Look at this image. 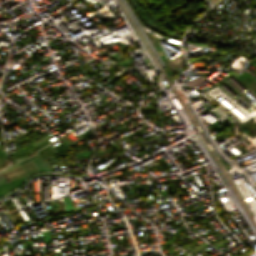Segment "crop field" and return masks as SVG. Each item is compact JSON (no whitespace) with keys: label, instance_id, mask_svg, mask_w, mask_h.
<instances>
[{"label":"crop field","instance_id":"obj_1","mask_svg":"<svg viewBox=\"0 0 256 256\" xmlns=\"http://www.w3.org/2000/svg\"><path fill=\"white\" fill-rule=\"evenodd\" d=\"M48 143H50V142L47 140V141H45V142H43V143H41V144H39V145H37V146H35V147H37V148L39 149V148L45 146V145L48 144ZM35 147L32 148V149H30V150H31L32 152L38 150V149H36ZM32 152H30L29 150H27V151H25V152H22V153H19V154L13 156L12 159L17 158V157H20V156L27 155V154H30V153H32Z\"/></svg>","mask_w":256,"mask_h":256},{"label":"crop field","instance_id":"obj_2","mask_svg":"<svg viewBox=\"0 0 256 256\" xmlns=\"http://www.w3.org/2000/svg\"><path fill=\"white\" fill-rule=\"evenodd\" d=\"M10 173L13 175L14 178L25 175V173L23 172V170L20 167L16 168L15 170H13ZM10 173H7L9 180L13 179V177L11 176Z\"/></svg>","mask_w":256,"mask_h":256},{"label":"crop field","instance_id":"obj_3","mask_svg":"<svg viewBox=\"0 0 256 256\" xmlns=\"http://www.w3.org/2000/svg\"><path fill=\"white\" fill-rule=\"evenodd\" d=\"M39 159V161L42 163V165L45 167L46 170H50L46 160L42 161L39 157H37ZM34 159V163L36 164V166L39 168V170H45L44 167L41 165V163L38 161V159Z\"/></svg>","mask_w":256,"mask_h":256},{"label":"crop field","instance_id":"obj_4","mask_svg":"<svg viewBox=\"0 0 256 256\" xmlns=\"http://www.w3.org/2000/svg\"><path fill=\"white\" fill-rule=\"evenodd\" d=\"M44 158L54 154V152L47 146L38 151Z\"/></svg>","mask_w":256,"mask_h":256},{"label":"crop field","instance_id":"obj_5","mask_svg":"<svg viewBox=\"0 0 256 256\" xmlns=\"http://www.w3.org/2000/svg\"><path fill=\"white\" fill-rule=\"evenodd\" d=\"M27 165H28V167L31 169L32 172L37 171V169L34 167V165H33L31 162L27 163ZM27 165H26V164L22 165V168L24 169V171L26 172V174L31 173V171H30V169L27 167Z\"/></svg>","mask_w":256,"mask_h":256},{"label":"crop field","instance_id":"obj_6","mask_svg":"<svg viewBox=\"0 0 256 256\" xmlns=\"http://www.w3.org/2000/svg\"><path fill=\"white\" fill-rule=\"evenodd\" d=\"M9 188L13 189L10 183L8 184L7 182H5L0 184V195L10 190Z\"/></svg>","mask_w":256,"mask_h":256},{"label":"crop field","instance_id":"obj_7","mask_svg":"<svg viewBox=\"0 0 256 256\" xmlns=\"http://www.w3.org/2000/svg\"><path fill=\"white\" fill-rule=\"evenodd\" d=\"M49 137H51V136L47 135V136H45L44 138H42L41 140H39L38 142H36V143H34V144H32V145H34V146H35V145H37V144L41 143L42 141H44V140L48 139ZM32 145L27 146V147H25V148H23V149H21V150H19V151L15 152V153L11 154V156H12V155H14V154H17V153H19V152H21V151H24V150H26V149H29V148L33 147Z\"/></svg>","mask_w":256,"mask_h":256},{"label":"crop field","instance_id":"obj_8","mask_svg":"<svg viewBox=\"0 0 256 256\" xmlns=\"http://www.w3.org/2000/svg\"><path fill=\"white\" fill-rule=\"evenodd\" d=\"M5 206H2L1 208L4 209V208H7L8 211H11V210H15V207L13 206L12 202L9 200L5 201Z\"/></svg>","mask_w":256,"mask_h":256},{"label":"crop field","instance_id":"obj_9","mask_svg":"<svg viewBox=\"0 0 256 256\" xmlns=\"http://www.w3.org/2000/svg\"><path fill=\"white\" fill-rule=\"evenodd\" d=\"M182 231H183V230L178 229V230L176 231V233L180 234ZM174 234H175V233H174ZM174 234H173V235H174ZM173 235H172V236H173ZM172 236H171V237H172ZM176 236H178V235H177V234H175L172 238L170 237V238H171V240H172V239H174ZM170 238H169V239H170ZM168 243H170V240H167V241H166V243L163 245V247H162L161 249L163 250V249H164V247H165Z\"/></svg>","mask_w":256,"mask_h":256},{"label":"crop field","instance_id":"obj_10","mask_svg":"<svg viewBox=\"0 0 256 256\" xmlns=\"http://www.w3.org/2000/svg\"><path fill=\"white\" fill-rule=\"evenodd\" d=\"M23 177L17 179V180H14V181H11V183L14 185V187L18 186L21 184V182L23 181Z\"/></svg>","mask_w":256,"mask_h":256},{"label":"crop field","instance_id":"obj_11","mask_svg":"<svg viewBox=\"0 0 256 256\" xmlns=\"http://www.w3.org/2000/svg\"><path fill=\"white\" fill-rule=\"evenodd\" d=\"M0 150H2V149H0ZM0 153H2V152H0ZM3 153H4V159H5V161H8L4 151H3ZM0 157H3V155L0 154ZM4 159H0V160H4ZM0 162H4V161H0ZM3 164H5V163H0V165H3Z\"/></svg>","mask_w":256,"mask_h":256},{"label":"crop field","instance_id":"obj_12","mask_svg":"<svg viewBox=\"0 0 256 256\" xmlns=\"http://www.w3.org/2000/svg\"><path fill=\"white\" fill-rule=\"evenodd\" d=\"M83 152H84L85 155L91 154L90 151H83ZM77 154H78L79 157H80V156H83V153H82V152H79V153H77Z\"/></svg>","mask_w":256,"mask_h":256},{"label":"crop field","instance_id":"obj_13","mask_svg":"<svg viewBox=\"0 0 256 256\" xmlns=\"http://www.w3.org/2000/svg\"><path fill=\"white\" fill-rule=\"evenodd\" d=\"M37 156H38V155L33 156V158H35V157H37ZM33 158L31 157V158H29V159H27V160H24V161H22V162H19V164L22 165V164H24V163H26V162L32 160Z\"/></svg>","mask_w":256,"mask_h":256},{"label":"crop field","instance_id":"obj_14","mask_svg":"<svg viewBox=\"0 0 256 256\" xmlns=\"http://www.w3.org/2000/svg\"><path fill=\"white\" fill-rule=\"evenodd\" d=\"M17 166H19L18 163L12 165L9 169L3 171L2 173L6 172V171H10V170L14 169V168L17 167Z\"/></svg>","mask_w":256,"mask_h":256},{"label":"crop field","instance_id":"obj_15","mask_svg":"<svg viewBox=\"0 0 256 256\" xmlns=\"http://www.w3.org/2000/svg\"><path fill=\"white\" fill-rule=\"evenodd\" d=\"M63 147H65V146H63L62 144H60V145H58V146H56V147H54V148L58 151V150L62 149Z\"/></svg>","mask_w":256,"mask_h":256},{"label":"crop field","instance_id":"obj_16","mask_svg":"<svg viewBox=\"0 0 256 256\" xmlns=\"http://www.w3.org/2000/svg\"><path fill=\"white\" fill-rule=\"evenodd\" d=\"M27 157H28V156L23 157V158H19V159L13 160V161L16 162V161L22 160V159L27 158Z\"/></svg>","mask_w":256,"mask_h":256},{"label":"crop field","instance_id":"obj_17","mask_svg":"<svg viewBox=\"0 0 256 256\" xmlns=\"http://www.w3.org/2000/svg\"><path fill=\"white\" fill-rule=\"evenodd\" d=\"M106 105H108V104L106 103V104H104V105H102V106H100V107H98V108L101 109V108H103V107L106 106Z\"/></svg>","mask_w":256,"mask_h":256},{"label":"crop field","instance_id":"obj_18","mask_svg":"<svg viewBox=\"0 0 256 256\" xmlns=\"http://www.w3.org/2000/svg\"><path fill=\"white\" fill-rule=\"evenodd\" d=\"M2 168H4V167H0V169H2Z\"/></svg>","mask_w":256,"mask_h":256}]
</instances>
